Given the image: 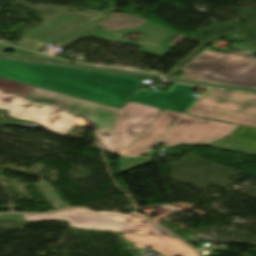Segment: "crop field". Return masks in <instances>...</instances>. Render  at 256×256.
I'll return each mask as SVG.
<instances>
[{
	"label": "crop field",
	"mask_w": 256,
	"mask_h": 256,
	"mask_svg": "<svg viewBox=\"0 0 256 256\" xmlns=\"http://www.w3.org/2000/svg\"><path fill=\"white\" fill-rule=\"evenodd\" d=\"M0 109L65 135L75 125L95 130L96 144L120 155V110L0 79Z\"/></svg>",
	"instance_id": "obj_1"
},
{
	"label": "crop field",
	"mask_w": 256,
	"mask_h": 256,
	"mask_svg": "<svg viewBox=\"0 0 256 256\" xmlns=\"http://www.w3.org/2000/svg\"><path fill=\"white\" fill-rule=\"evenodd\" d=\"M0 77L120 108L142 79L0 58Z\"/></svg>",
	"instance_id": "obj_2"
},
{
	"label": "crop field",
	"mask_w": 256,
	"mask_h": 256,
	"mask_svg": "<svg viewBox=\"0 0 256 256\" xmlns=\"http://www.w3.org/2000/svg\"><path fill=\"white\" fill-rule=\"evenodd\" d=\"M182 78L256 88V58L244 52L223 54L206 50L185 69Z\"/></svg>",
	"instance_id": "obj_3"
},
{
	"label": "crop field",
	"mask_w": 256,
	"mask_h": 256,
	"mask_svg": "<svg viewBox=\"0 0 256 256\" xmlns=\"http://www.w3.org/2000/svg\"><path fill=\"white\" fill-rule=\"evenodd\" d=\"M27 222L67 220L69 227L120 232L171 236L147 219L117 212H94L88 209L61 211L47 215H23Z\"/></svg>",
	"instance_id": "obj_4"
},
{
	"label": "crop field",
	"mask_w": 256,
	"mask_h": 256,
	"mask_svg": "<svg viewBox=\"0 0 256 256\" xmlns=\"http://www.w3.org/2000/svg\"><path fill=\"white\" fill-rule=\"evenodd\" d=\"M188 113L256 128V95L211 89Z\"/></svg>",
	"instance_id": "obj_5"
},
{
	"label": "crop field",
	"mask_w": 256,
	"mask_h": 256,
	"mask_svg": "<svg viewBox=\"0 0 256 256\" xmlns=\"http://www.w3.org/2000/svg\"><path fill=\"white\" fill-rule=\"evenodd\" d=\"M237 126L185 115L162 140L172 145H206L227 137Z\"/></svg>",
	"instance_id": "obj_6"
},
{
	"label": "crop field",
	"mask_w": 256,
	"mask_h": 256,
	"mask_svg": "<svg viewBox=\"0 0 256 256\" xmlns=\"http://www.w3.org/2000/svg\"><path fill=\"white\" fill-rule=\"evenodd\" d=\"M99 27L88 20L65 16L27 30L28 36L45 43H54L74 35L92 36Z\"/></svg>",
	"instance_id": "obj_7"
},
{
	"label": "crop field",
	"mask_w": 256,
	"mask_h": 256,
	"mask_svg": "<svg viewBox=\"0 0 256 256\" xmlns=\"http://www.w3.org/2000/svg\"><path fill=\"white\" fill-rule=\"evenodd\" d=\"M158 110L129 102L121 110V147L128 148L160 114Z\"/></svg>",
	"instance_id": "obj_8"
},
{
	"label": "crop field",
	"mask_w": 256,
	"mask_h": 256,
	"mask_svg": "<svg viewBox=\"0 0 256 256\" xmlns=\"http://www.w3.org/2000/svg\"><path fill=\"white\" fill-rule=\"evenodd\" d=\"M193 88L174 84L166 93L140 89L132 100L185 112L197 100L188 96Z\"/></svg>",
	"instance_id": "obj_9"
},
{
	"label": "crop field",
	"mask_w": 256,
	"mask_h": 256,
	"mask_svg": "<svg viewBox=\"0 0 256 256\" xmlns=\"http://www.w3.org/2000/svg\"><path fill=\"white\" fill-rule=\"evenodd\" d=\"M181 116L165 110L122 155L139 156L148 152Z\"/></svg>",
	"instance_id": "obj_10"
},
{
	"label": "crop field",
	"mask_w": 256,
	"mask_h": 256,
	"mask_svg": "<svg viewBox=\"0 0 256 256\" xmlns=\"http://www.w3.org/2000/svg\"><path fill=\"white\" fill-rule=\"evenodd\" d=\"M122 236L136 243L134 246L139 249L150 247L163 256H174L176 254L182 256H200L192 248L176 238L137 234H124Z\"/></svg>",
	"instance_id": "obj_11"
},
{
	"label": "crop field",
	"mask_w": 256,
	"mask_h": 256,
	"mask_svg": "<svg viewBox=\"0 0 256 256\" xmlns=\"http://www.w3.org/2000/svg\"><path fill=\"white\" fill-rule=\"evenodd\" d=\"M207 146L256 155V130L239 127L227 138Z\"/></svg>",
	"instance_id": "obj_12"
},
{
	"label": "crop field",
	"mask_w": 256,
	"mask_h": 256,
	"mask_svg": "<svg viewBox=\"0 0 256 256\" xmlns=\"http://www.w3.org/2000/svg\"><path fill=\"white\" fill-rule=\"evenodd\" d=\"M151 162V159L140 157V158H121L120 157V173L126 170L145 165Z\"/></svg>",
	"instance_id": "obj_13"
},
{
	"label": "crop field",
	"mask_w": 256,
	"mask_h": 256,
	"mask_svg": "<svg viewBox=\"0 0 256 256\" xmlns=\"http://www.w3.org/2000/svg\"><path fill=\"white\" fill-rule=\"evenodd\" d=\"M0 219H10V220L26 222L22 214H3V215H0Z\"/></svg>",
	"instance_id": "obj_14"
},
{
	"label": "crop field",
	"mask_w": 256,
	"mask_h": 256,
	"mask_svg": "<svg viewBox=\"0 0 256 256\" xmlns=\"http://www.w3.org/2000/svg\"><path fill=\"white\" fill-rule=\"evenodd\" d=\"M236 45L239 47V44H236ZM240 46H241L240 48H242V49H244V50L249 49L250 51L256 52V48L249 47V46H245V45H240Z\"/></svg>",
	"instance_id": "obj_15"
},
{
	"label": "crop field",
	"mask_w": 256,
	"mask_h": 256,
	"mask_svg": "<svg viewBox=\"0 0 256 256\" xmlns=\"http://www.w3.org/2000/svg\"><path fill=\"white\" fill-rule=\"evenodd\" d=\"M126 149H124V148H121V154L125 151Z\"/></svg>",
	"instance_id": "obj_16"
}]
</instances>
